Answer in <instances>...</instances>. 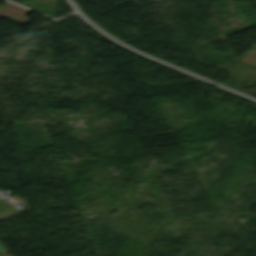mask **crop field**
<instances>
[{"label":"crop field","instance_id":"crop-field-1","mask_svg":"<svg viewBox=\"0 0 256 256\" xmlns=\"http://www.w3.org/2000/svg\"><path fill=\"white\" fill-rule=\"evenodd\" d=\"M1 9V8H0ZM29 10L16 6L12 3L7 5L0 11V16H4L14 22L24 24L25 21L29 20L28 18L24 17L23 15L26 14Z\"/></svg>","mask_w":256,"mask_h":256},{"label":"crop field","instance_id":"crop-field-2","mask_svg":"<svg viewBox=\"0 0 256 256\" xmlns=\"http://www.w3.org/2000/svg\"><path fill=\"white\" fill-rule=\"evenodd\" d=\"M241 60H243L245 62H248L250 64H253L252 62L256 60V50H254L253 52L249 53L248 55L243 57ZM254 65H256V63H254Z\"/></svg>","mask_w":256,"mask_h":256},{"label":"crop field","instance_id":"crop-field-3","mask_svg":"<svg viewBox=\"0 0 256 256\" xmlns=\"http://www.w3.org/2000/svg\"><path fill=\"white\" fill-rule=\"evenodd\" d=\"M1 253H6L5 251H4V249L0 246V254Z\"/></svg>","mask_w":256,"mask_h":256},{"label":"crop field","instance_id":"crop-field-4","mask_svg":"<svg viewBox=\"0 0 256 256\" xmlns=\"http://www.w3.org/2000/svg\"><path fill=\"white\" fill-rule=\"evenodd\" d=\"M0 256H11V255H9V254H3V255H0Z\"/></svg>","mask_w":256,"mask_h":256}]
</instances>
